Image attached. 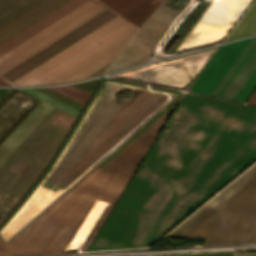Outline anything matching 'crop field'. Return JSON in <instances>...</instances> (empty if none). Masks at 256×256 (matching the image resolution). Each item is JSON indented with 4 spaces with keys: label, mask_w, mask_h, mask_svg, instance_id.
I'll use <instances>...</instances> for the list:
<instances>
[{
    "label": "crop field",
    "mask_w": 256,
    "mask_h": 256,
    "mask_svg": "<svg viewBox=\"0 0 256 256\" xmlns=\"http://www.w3.org/2000/svg\"><path fill=\"white\" fill-rule=\"evenodd\" d=\"M85 0H44L0 28V54ZM105 7L87 0L0 55V75L60 38Z\"/></svg>",
    "instance_id": "obj_4"
},
{
    "label": "crop field",
    "mask_w": 256,
    "mask_h": 256,
    "mask_svg": "<svg viewBox=\"0 0 256 256\" xmlns=\"http://www.w3.org/2000/svg\"><path fill=\"white\" fill-rule=\"evenodd\" d=\"M83 105H85L86 101L90 97L91 93L84 91L80 88H77L73 85L68 86H57V87H49Z\"/></svg>",
    "instance_id": "obj_16"
},
{
    "label": "crop field",
    "mask_w": 256,
    "mask_h": 256,
    "mask_svg": "<svg viewBox=\"0 0 256 256\" xmlns=\"http://www.w3.org/2000/svg\"><path fill=\"white\" fill-rule=\"evenodd\" d=\"M9 89H0V99Z\"/></svg>",
    "instance_id": "obj_20"
},
{
    "label": "crop field",
    "mask_w": 256,
    "mask_h": 256,
    "mask_svg": "<svg viewBox=\"0 0 256 256\" xmlns=\"http://www.w3.org/2000/svg\"><path fill=\"white\" fill-rule=\"evenodd\" d=\"M180 93L175 99H173L166 107L153 116L146 124H144L134 135H132L122 146H120L112 155H110L102 164L97 168L104 169L115 158H117L124 150H126L133 142H135L141 135H143L150 127H152L159 119H161L167 112L175 107L182 97Z\"/></svg>",
    "instance_id": "obj_13"
},
{
    "label": "crop field",
    "mask_w": 256,
    "mask_h": 256,
    "mask_svg": "<svg viewBox=\"0 0 256 256\" xmlns=\"http://www.w3.org/2000/svg\"><path fill=\"white\" fill-rule=\"evenodd\" d=\"M54 107L40 102L32 112L0 144V164L29 135Z\"/></svg>",
    "instance_id": "obj_11"
},
{
    "label": "crop field",
    "mask_w": 256,
    "mask_h": 256,
    "mask_svg": "<svg viewBox=\"0 0 256 256\" xmlns=\"http://www.w3.org/2000/svg\"><path fill=\"white\" fill-rule=\"evenodd\" d=\"M256 86V67L252 73L248 76L236 94L233 96V100L244 102L253 88Z\"/></svg>",
    "instance_id": "obj_17"
},
{
    "label": "crop field",
    "mask_w": 256,
    "mask_h": 256,
    "mask_svg": "<svg viewBox=\"0 0 256 256\" xmlns=\"http://www.w3.org/2000/svg\"><path fill=\"white\" fill-rule=\"evenodd\" d=\"M42 0H0V27Z\"/></svg>",
    "instance_id": "obj_14"
},
{
    "label": "crop field",
    "mask_w": 256,
    "mask_h": 256,
    "mask_svg": "<svg viewBox=\"0 0 256 256\" xmlns=\"http://www.w3.org/2000/svg\"><path fill=\"white\" fill-rule=\"evenodd\" d=\"M116 16L118 15L110 9H105L1 76L10 82L15 80ZM132 27L134 26L118 16L11 83L43 85ZM135 30L134 27L127 31L46 84L72 82L101 75Z\"/></svg>",
    "instance_id": "obj_2"
},
{
    "label": "crop field",
    "mask_w": 256,
    "mask_h": 256,
    "mask_svg": "<svg viewBox=\"0 0 256 256\" xmlns=\"http://www.w3.org/2000/svg\"><path fill=\"white\" fill-rule=\"evenodd\" d=\"M247 102L256 104V90L254 91V93L251 95Z\"/></svg>",
    "instance_id": "obj_19"
},
{
    "label": "crop field",
    "mask_w": 256,
    "mask_h": 256,
    "mask_svg": "<svg viewBox=\"0 0 256 256\" xmlns=\"http://www.w3.org/2000/svg\"><path fill=\"white\" fill-rule=\"evenodd\" d=\"M165 99L166 95L134 89L130 103L104 100L57 173L68 180L80 175Z\"/></svg>",
    "instance_id": "obj_6"
},
{
    "label": "crop field",
    "mask_w": 256,
    "mask_h": 256,
    "mask_svg": "<svg viewBox=\"0 0 256 256\" xmlns=\"http://www.w3.org/2000/svg\"><path fill=\"white\" fill-rule=\"evenodd\" d=\"M255 66L256 36L251 37L210 95L231 99Z\"/></svg>",
    "instance_id": "obj_9"
},
{
    "label": "crop field",
    "mask_w": 256,
    "mask_h": 256,
    "mask_svg": "<svg viewBox=\"0 0 256 256\" xmlns=\"http://www.w3.org/2000/svg\"><path fill=\"white\" fill-rule=\"evenodd\" d=\"M167 236L205 237V244L256 241V164Z\"/></svg>",
    "instance_id": "obj_5"
},
{
    "label": "crop field",
    "mask_w": 256,
    "mask_h": 256,
    "mask_svg": "<svg viewBox=\"0 0 256 256\" xmlns=\"http://www.w3.org/2000/svg\"><path fill=\"white\" fill-rule=\"evenodd\" d=\"M179 11L159 6L132 37L107 72L146 63L153 48L173 22ZM125 62L123 66H115ZM106 72V73H107Z\"/></svg>",
    "instance_id": "obj_7"
},
{
    "label": "crop field",
    "mask_w": 256,
    "mask_h": 256,
    "mask_svg": "<svg viewBox=\"0 0 256 256\" xmlns=\"http://www.w3.org/2000/svg\"><path fill=\"white\" fill-rule=\"evenodd\" d=\"M107 3L110 0H99ZM161 0H111L107 5L131 24L139 28Z\"/></svg>",
    "instance_id": "obj_12"
},
{
    "label": "crop field",
    "mask_w": 256,
    "mask_h": 256,
    "mask_svg": "<svg viewBox=\"0 0 256 256\" xmlns=\"http://www.w3.org/2000/svg\"><path fill=\"white\" fill-rule=\"evenodd\" d=\"M256 31V0L251 4L224 41L254 34Z\"/></svg>",
    "instance_id": "obj_15"
},
{
    "label": "crop field",
    "mask_w": 256,
    "mask_h": 256,
    "mask_svg": "<svg viewBox=\"0 0 256 256\" xmlns=\"http://www.w3.org/2000/svg\"><path fill=\"white\" fill-rule=\"evenodd\" d=\"M21 90H23V91H25V92H27V93H29V94H31V95L41 99V100H43V101H45V102H47V103H49V104H51L53 106H55V107L65 111V112H68V113H70V114H72V115H74L76 117L79 114L78 111H76V110H74V109H72V108H70V107H68V106H66V105L56 101V100H53V99H51V98H49V97H47V96H45V95L35 91V90H32L30 88H23Z\"/></svg>",
    "instance_id": "obj_18"
},
{
    "label": "crop field",
    "mask_w": 256,
    "mask_h": 256,
    "mask_svg": "<svg viewBox=\"0 0 256 256\" xmlns=\"http://www.w3.org/2000/svg\"><path fill=\"white\" fill-rule=\"evenodd\" d=\"M129 179V175L95 169L11 241L5 243L0 236V256L60 253L93 198L112 203L86 250Z\"/></svg>",
    "instance_id": "obj_3"
},
{
    "label": "crop field",
    "mask_w": 256,
    "mask_h": 256,
    "mask_svg": "<svg viewBox=\"0 0 256 256\" xmlns=\"http://www.w3.org/2000/svg\"><path fill=\"white\" fill-rule=\"evenodd\" d=\"M256 158V107L186 94L88 251L147 247Z\"/></svg>",
    "instance_id": "obj_1"
},
{
    "label": "crop field",
    "mask_w": 256,
    "mask_h": 256,
    "mask_svg": "<svg viewBox=\"0 0 256 256\" xmlns=\"http://www.w3.org/2000/svg\"><path fill=\"white\" fill-rule=\"evenodd\" d=\"M169 113H167L105 169L133 174Z\"/></svg>",
    "instance_id": "obj_10"
},
{
    "label": "crop field",
    "mask_w": 256,
    "mask_h": 256,
    "mask_svg": "<svg viewBox=\"0 0 256 256\" xmlns=\"http://www.w3.org/2000/svg\"><path fill=\"white\" fill-rule=\"evenodd\" d=\"M249 39L221 45L188 91L209 95Z\"/></svg>",
    "instance_id": "obj_8"
}]
</instances>
